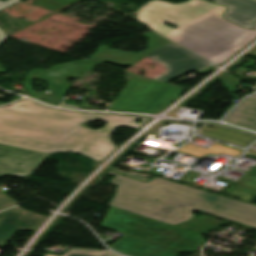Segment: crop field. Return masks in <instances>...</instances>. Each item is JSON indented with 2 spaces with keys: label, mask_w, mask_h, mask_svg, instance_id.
<instances>
[{
  "label": "crop field",
  "mask_w": 256,
  "mask_h": 256,
  "mask_svg": "<svg viewBox=\"0 0 256 256\" xmlns=\"http://www.w3.org/2000/svg\"><path fill=\"white\" fill-rule=\"evenodd\" d=\"M97 119L107 124L96 130L80 126ZM136 119L142 121L138 124ZM147 120L131 115L61 111L24 99L0 108V145L48 154L80 152L101 162L117 149L110 139L114 129L124 125L137 130Z\"/></svg>",
  "instance_id": "crop-field-1"
},
{
  "label": "crop field",
  "mask_w": 256,
  "mask_h": 256,
  "mask_svg": "<svg viewBox=\"0 0 256 256\" xmlns=\"http://www.w3.org/2000/svg\"><path fill=\"white\" fill-rule=\"evenodd\" d=\"M225 10L204 0L180 4L153 0L137 10V18L161 35L220 65L240 49L235 43L249 31L224 20ZM164 22L176 25L177 29ZM254 38L256 31H250L238 45L243 48Z\"/></svg>",
  "instance_id": "crop-field-2"
},
{
  "label": "crop field",
  "mask_w": 256,
  "mask_h": 256,
  "mask_svg": "<svg viewBox=\"0 0 256 256\" xmlns=\"http://www.w3.org/2000/svg\"><path fill=\"white\" fill-rule=\"evenodd\" d=\"M110 182L118 185L111 206L178 225L199 210L221 218L256 227V206L210 192L155 178L149 184L121 176Z\"/></svg>",
  "instance_id": "crop-field-3"
},
{
  "label": "crop field",
  "mask_w": 256,
  "mask_h": 256,
  "mask_svg": "<svg viewBox=\"0 0 256 256\" xmlns=\"http://www.w3.org/2000/svg\"><path fill=\"white\" fill-rule=\"evenodd\" d=\"M184 91L133 75L109 110L159 113L178 99Z\"/></svg>",
  "instance_id": "crop-field-4"
},
{
  "label": "crop field",
  "mask_w": 256,
  "mask_h": 256,
  "mask_svg": "<svg viewBox=\"0 0 256 256\" xmlns=\"http://www.w3.org/2000/svg\"><path fill=\"white\" fill-rule=\"evenodd\" d=\"M102 227L169 247L188 230L111 207Z\"/></svg>",
  "instance_id": "crop-field-5"
},
{
  "label": "crop field",
  "mask_w": 256,
  "mask_h": 256,
  "mask_svg": "<svg viewBox=\"0 0 256 256\" xmlns=\"http://www.w3.org/2000/svg\"><path fill=\"white\" fill-rule=\"evenodd\" d=\"M94 63L88 60H82L56 65L49 71L44 69L33 70L27 74L23 84L33 97L41 100L44 94L34 92L30 83L34 78L46 80L48 83L47 90L51 91V93L44 98L43 102L57 106L62 96L71 86L70 83L65 82V79L67 77H80Z\"/></svg>",
  "instance_id": "crop-field-6"
},
{
  "label": "crop field",
  "mask_w": 256,
  "mask_h": 256,
  "mask_svg": "<svg viewBox=\"0 0 256 256\" xmlns=\"http://www.w3.org/2000/svg\"><path fill=\"white\" fill-rule=\"evenodd\" d=\"M204 243L200 234L189 231L169 248L127 235L109 247L129 256H178L180 252L194 251Z\"/></svg>",
  "instance_id": "crop-field-7"
},
{
  "label": "crop field",
  "mask_w": 256,
  "mask_h": 256,
  "mask_svg": "<svg viewBox=\"0 0 256 256\" xmlns=\"http://www.w3.org/2000/svg\"><path fill=\"white\" fill-rule=\"evenodd\" d=\"M173 43V42H172ZM166 44L152 52L147 57L163 63L167 68L168 72L165 76L155 80L163 83H167L191 70H198L209 63L202 59L192 55L191 53L183 50L182 48L174 44Z\"/></svg>",
  "instance_id": "crop-field-8"
},
{
  "label": "crop field",
  "mask_w": 256,
  "mask_h": 256,
  "mask_svg": "<svg viewBox=\"0 0 256 256\" xmlns=\"http://www.w3.org/2000/svg\"><path fill=\"white\" fill-rule=\"evenodd\" d=\"M48 156L47 154L0 146V173L28 177Z\"/></svg>",
  "instance_id": "crop-field-9"
},
{
  "label": "crop field",
  "mask_w": 256,
  "mask_h": 256,
  "mask_svg": "<svg viewBox=\"0 0 256 256\" xmlns=\"http://www.w3.org/2000/svg\"><path fill=\"white\" fill-rule=\"evenodd\" d=\"M45 216L36 215L15 207L0 212V247L7 243L18 230H33Z\"/></svg>",
  "instance_id": "crop-field-10"
},
{
  "label": "crop field",
  "mask_w": 256,
  "mask_h": 256,
  "mask_svg": "<svg viewBox=\"0 0 256 256\" xmlns=\"http://www.w3.org/2000/svg\"><path fill=\"white\" fill-rule=\"evenodd\" d=\"M142 36L150 40L148 41V44H147L149 48L148 50H145L139 54H135V53L112 50V49H109V47L107 46L99 45L96 52L89 58V60L95 61L98 63L110 62V63L122 65V66L134 65L146 54H148L151 50H154L166 43H169V41L163 39L162 37L158 36L157 34L151 31Z\"/></svg>",
  "instance_id": "crop-field-11"
},
{
  "label": "crop field",
  "mask_w": 256,
  "mask_h": 256,
  "mask_svg": "<svg viewBox=\"0 0 256 256\" xmlns=\"http://www.w3.org/2000/svg\"><path fill=\"white\" fill-rule=\"evenodd\" d=\"M216 4L228 7L224 19L242 27L251 29L256 21V0H215Z\"/></svg>",
  "instance_id": "crop-field-12"
},
{
  "label": "crop field",
  "mask_w": 256,
  "mask_h": 256,
  "mask_svg": "<svg viewBox=\"0 0 256 256\" xmlns=\"http://www.w3.org/2000/svg\"><path fill=\"white\" fill-rule=\"evenodd\" d=\"M226 121L256 131V103L246 100L228 116Z\"/></svg>",
  "instance_id": "crop-field-13"
},
{
  "label": "crop field",
  "mask_w": 256,
  "mask_h": 256,
  "mask_svg": "<svg viewBox=\"0 0 256 256\" xmlns=\"http://www.w3.org/2000/svg\"><path fill=\"white\" fill-rule=\"evenodd\" d=\"M224 223L226 222L220 221L218 219H215L209 216H202V218L198 217L180 227L188 230H192L194 232L196 231L205 232L207 230L216 228Z\"/></svg>",
  "instance_id": "crop-field-14"
},
{
  "label": "crop field",
  "mask_w": 256,
  "mask_h": 256,
  "mask_svg": "<svg viewBox=\"0 0 256 256\" xmlns=\"http://www.w3.org/2000/svg\"><path fill=\"white\" fill-rule=\"evenodd\" d=\"M75 0H36V5L54 11Z\"/></svg>",
  "instance_id": "crop-field-15"
},
{
  "label": "crop field",
  "mask_w": 256,
  "mask_h": 256,
  "mask_svg": "<svg viewBox=\"0 0 256 256\" xmlns=\"http://www.w3.org/2000/svg\"><path fill=\"white\" fill-rule=\"evenodd\" d=\"M106 252H96L88 250H69L63 256H103ZM43 256H56L50 254H44Z\"/></svg>",
  "instance_id": "crop-field-16"
},
{
  "label": "crop field",
  "mask_w": 256,
  "mask_h": 256,
  "mask_svg": "<svg viewBox=\"0 0 256 256\" xmlns=\"http://www.w3.org/2000/svg\"><path fill=\"white\" fill-rule=\"evenodd\" d=\"M213 137L223 139V140H226V141H229V142H232V143H235V144H239V145H242V146H245L247 143L250 142V140H246V139H243V138H239V137L228 135V134L221 133V132L217 133Z\"/></svg>",
  "instance_id": "crop-field-17"
},
{
  "label": "crop field",
  "mask_w": 256,
  "mask_h": 256,
  "mask_svg": "<svg viewBox=\"0 0 256 256\" xmlns=\"http://www.w3.org/2000/svg\"><path fill=\"white\" fill-rule=\"evenodd\" d=\"M17 203L4 193H0V210L16 205Z\"/></svg>",
  "instance_id": "crop-field-18"
},
{
  "label": "crop field",
  "mask_w": 256,
  "mask_h": 256,
  "mask_svg": "<svg viewBox=\"0 0 256 256\" xmlns=\"http://www.w3.org/2000/svg\"><path fill=\"white\" fill-rule=\"evenodd\" d=\"M20 0H7L5 2L0 1V9L10 6ZM6 38V34L0 29V42Z\"/></svg>",
  "instance_id": "crop-field-19"
},
{
  "label": "crop field",
  "mask_w": 256,
  "mask_h": 256,
  "mask_svg": "<svg viewBox=\"0 0 256 256\" xmlns=\"http://www.w3.org/2000/svg\"><path fill=\"white\" fill-rule=\"evenodd\" d=\"M107 168H108V169H111V170H114V171H116V172H119V173L128 175V176L134 177V178H136V179L145 181V182H148V181L150 180V179H147V178H144V177H141V176H137V175H134V174H131V173H126V172L118 171V170H115V169L110 168V167H107Z\"/></svg>",
  "instance_id": "crop-field-20"
},
{
  "label": "crop field",
  "mask_w": 256,
  "mask_h": 256,
  "mask_svg": "<svg viewBox=\"0 0 256 256\" xmlns=\"http://www.w3.org/2000/svg\"><path fill=\"white\" fill-rule=\"evenodd\" d=\"M216 68H217V67H215L214 65H212L211 67L206 68V69L200 71L199 73H207V72L212 71V70H214V69H216Z\"/></svg>",
  "instance_id": "crop-field-21"
},
{
  "label": "crop field",
  "mask_w": 256,
  "mask_h": 256,
  "mask_svg": "<svg viewBox=\"0 0 256 256\" xmlns=\"http://www.w3.org/2000/svg\"><path fill=\"white\" fill-rule=\"evenodd\" d=\"M104 256H119L111 251L107 252Z\"/></svg>",
  "instance_id": "crop-field-22"
},
{
  "label": "crop field",
  "mask_w": 256,
  "mask_h": 256,
  "mask_svg": "<svg viewBox=\"0 0 256 256\" xmlns=\"http://www.w3.org/2000/svg\"><path fill=\"white\" fill-rule=\"evenodd\" d=\"M0 73H7L5 69L0 65Z\"/></svg>",
  "instance_id": "crop-field-23"
},
{
  "label": "crop field",
  "mask_w": 256,
  "mask_h": 256,
  "mask_svg": "<svg viewBox=\"0 0 256 256\" xmlns=\"http://www.w3.org/2000/svg\"><path fill=\"white\" fill-rule=\"evenodd\" d=\"M248 100H251V101H255V102H256V96H254V97H252V98H250V99H248Z\"/></svg>",
  "instance_id": "crop-field-24"
},
{
  "label": "crop field",
  "mask_w": 256,
  "mask_h": 256,
  "mask_svg": "<svg viewBox=\"0 0 256 256\" xmlns=\"http://www.w3.org/2000/svg\"><path fill=\"white\" fill-rule=\"evenodd\" d=\"M253 29H256V24L253 25Z\"/></svg>",
  "instance_id": "crop-field-25"
}]
</instances>
